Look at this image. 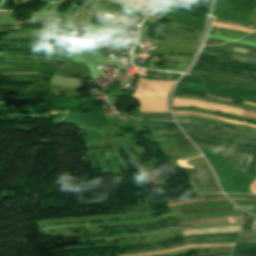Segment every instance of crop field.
Masks as SVG:
<instances>
[{
    "label": "crop field",
    "instance_id": "obj_1",
    "mask_svg": "<svg viewBox=\"0 0 256 256\" xmlns=\"http://www.w3.org/2000/svg\"><path fill=\"white\" fill-rule=\"evenodd\" d=\"M175 81L141 79L133 98L140 102L139 111L168 112L167 95Z\"/></svg>",
    "mask_w": 256,
    "mask_h": 256
},
{
    "label": "crop field",
    "instance_id": "obj_2",
    "mask_svg": "<svg viewBox=\"0 0 256 256\" xmlns=\"http://www.w3.org/2000/svg\"><path fill=\"white\" fill-rule=\"evenodd\" d=\"M173 106H195V107L206 108L208 110L232 113L240 116H242L244 112L243 109H239L231 106L214 104V103H209V102H204V101L194 100V99L175 98V97H174Z\"/></svg>",
    "mask_w": 256,
    "mask_h": 256
},
{
    "label": "crop field",
    "instance_id": "obj_3",
    "mask_svg": "<svg viewBox=\"0 0 256 256\" xmlns=\"http://www.w3.org/2000/svg\"><path fill=\"white\" fill-rule=\"evenodd\" d=\"M65 121L75 123L79 126H104L110 124L101 112L69 113Z\"/></svg>",
    "mask_w": 256,
    "mask_h": 256
},
{
    "label": "crop field",
    "instance_id": "obj_4",
    "mask_svg": "<svg viewBox=\"0 0 256 256\" xmlns=\"http://www.w3.org/2000/svg\"><path fill=\"white\" fill-rule=\"evenodd\" d=\"M189 181L199 193L218 191L216 183L210 172L189 174Z\"/></svg>",
    "mask_w": 256,
    "mask_h": 256
},
{
    "label": "crop field",
    "instance_id": "obj_5",
    "mask_svg": "<svg viewBox=\"0 0 256 256\" xmlns=\"http://www.w3.org/2000/svg\"><path fill=\"white\" fill-rule=\"evenodd\" d=\"M237 236H232V237H212V238H191V239H185L177 242H172V243H166V244H160V245H154V246H148V247H141V248H133V249H125V250H120L118 252H123V251H135V250H141V249H147V248H160V247H165L181 242H186L189 241V244H198V243H220V242H235Z\"/></svg>",
    "mask_w": 256,
    "mask_h": 256
},
{
    "label": "crop field",
    "instance_id": "obj_6",
    "mask_svg": "<svg viewBox=\"0 0 256 256\" xmlns=\"http://www.w3.org/2000/svg\"><path fill=\"white\" fill-rule=\"evenodd\" d=\"M57 77L63 78H89L86 64L69 63L65 70L58 69Z\"/></svg>",
    "mask_w": 256,
    "mask_h": 256
},
{
    "label": "crop field",
    "instance_id": "obj_7",
    "mask_svg": "<svg viewBox=\"0 0 256 256\" xmlns=\"http://www.w3.org/2000/svg\"><path fill=\"white\" fill-rule=\"evenodd\" d=\"M213 25L214 26L237 29V30L249 31V32L254 31V30H248L249 28L247 29V28H242L240 26L217 23V22H214ZM214 26H212V28H211V32H210L211 34H218V35L228 36V37H232V38H236V39H239V38L243 37L244 35L249 34V32L231 30V29L214 27Z\"/></svg>",
    "mask_w": 256,
    "mask_h": 256
},
{
    "label": "crop field",
    "instance_id": "obj_8",
    "mask_svg": "<svg viewBox=\"0 0 256 256\" xmlns=\"http://www.w3.org/2000/svg\"><path fill=\"white\" fill-rule=\"evenodd\" d=\"M159 37H200V35L174 26L163 25L155 30V38Z\"/></svg>",
    "mask_w": 256,
    "mask_h": 256
},
{
    "label": "crop field",
    "instance_id": "obj_9",
    "mask_svg": "<svg viewBox=\"0 0 256 256\" xmlns=\"http://www.w3.org/2000/svg\"><path fill=\"white\" fill-rule=\"evenodd\" d=\"M191 138H192V140H195V141H199V142H203V143H207V144H211V145H215V146H219V147H223V148L240 150V151H244V152L254 155L246 172L254 173V174L256 173V152L255 151L240 148V147L230 146V145H226V144H222V143H218V142H214V141H210V140H206V139H200V138H194V137H191Z\"/></svg>",
    "mask_w": 256,
    "mask_h": 256
},
{
    "label": "crop field",
    "instance_id": "obj_10",
    "mask_svg": "<svg viewBox=\"0 0 256 256\" xmlns=\"http://www.w3.org/2000/svg\"><path fill=\"white\" fill-rule=\"evenodd\" d=\"M203 49L204 50H212V51L222 52V53L234 55L236 57L202 50L201 53H203V54L226 56V57H230V58H233V59H236V60H240V61H244V62H248V63H255L256 64V56H254V55L234 53V52H231V51L214 49V48L205 47V46L203 47Z\"/></svg>",
    "mask_w": 256,
    "mask_h": 256
},
{
    "label": "crop field",
    "instance_id": "obj_11",
    "mask_svg": "<svg viewBox=\"0 0 256 256\" xmlns=\"http://www.w3.org/2000/svg\"><path fill=\"white\" fill-rule=\"evenodd\" d=\"M225 219H244V217H225V218H213V219H205V220L181 221V222L169 223V224H165V225H157V226L131 229V230H125V231H119V232H131V231L145 230V229L155 228V227L176 225V224H181V223H189V222L193 223V222H198V221L225 220ZM105 232H114V231H105ZM93 233H103V232H88V233H80V234H93ZM80 234H67V235H56V236H68V235H80Z\"/></svg>",
    "mask_w": 256,
    "mask_h": 256
},
{
    "label": "crop field",
    "instance_id": "obj_12",
    "mask_svg": "<svg viewBox=\"0 0 256 256\" xmlns=\"http://www.w3.org/2000/svg\"><path fill=\"white\" fill-rule=\"evenodd\" d=\"M200 57L210 58V59L225 60V61H229V62H231V63H239V64H242V65H245V66H249V67H253V68H256L255 65L244 64V63H240V62L233 61V60H229V59H225V58L212 57V56H205V55H201V54L199 55V57H198V59H197V61H200V62H207V63H216V64L229 65V66H234V67L243 68V69H246V70H248V71H255V72H256V69H250V68H246V67H243V66H239V65H235V64H230V63H226V62H222V61L208 60V59H200Z\"/></svg>",
    "mask_w": 256,
    "mask_h": 256
},
{
    "label": "crop field",
    "instance_id": "obj_13",
    "mask_svg": "<svg viewBox=\"0 0 256 256\" xmlns=\"http://www.w3.org/2000/svg\"><path fill=\"white\" fill-rule=\"evenodd\" d=\"M177 121H178V123H194V124L203 125V126L217 127V128L225 129V130H228V131H232V132H236V133L256 137L255 133L245 132V131L232 129V128H228V127H224V126H220V125H215V124H211V123L197 122V121H193V120H177Z\"/></svg>",
    "mask_w": 256,
    "mask_h": 256
},
{
    "label": "crop field",
    "instance_id": "obj_14",
    "mask_svg": "<svg viewBox=\"0 0 256 256\" xmlns=\"http://www.w3.org/2000/svg\"><path fill=\"white\" fill-rule=\"evenodd\" d=\"M159 145H192L188 139L182 138H159L151 140Z\"/></svg>",
    "mask_w": 256,
    "mask_h": 256
},
{
    "label": "crop field",
    "instance_id": "obj_15",
    "mask_svg": "<svg viewBox=\"0 0 256 256\" xmlns=\"http://www.w3.org/2000/svg\"><path fill=\"white\" fill-rule=\"evenodd\" d=\"M232 235H238V233H214V234H205V235H193V236H189V237L159 241V242H154V243H149V244H144V245L121 246V248H132V247L148 246V245H153V244H157V243L172 242V241H176V240H180V239H184V238H191V237L232 236Z\"/></svg>",
    "mask_w": 256,
    "mask_h": 256
},
{
    "label": "crop field",
    "instance_id": "obj_16",
    "mask_svg": "<svg viewBox=\"0 0 256 256\" xmlns=\"http://www.w3.org/2000/svg\"><path fill=\"white\" fill-rule=\"evenodd\" d=\"M142 127L149 126L151 131L157 129H168V128H177L174 122H151V121H140Z\"/></svg>",
    "mask_w": 256,
    "mask_h": 256
},
{
    "label": "crop field",
    "instance_id": "obj_17",
    "mask_svg": "<svg viewBox=\"0 0 256 256\" xmlns=\"http://www.w3.org/2000/svg\"><path fill=\"white\" fill-rule=\"evenodd\" d=\"M180 125H181V127H190V128H197V129H202V130H207V131L219 132V133L235 136V137L242 138V139L256 141V138H252V137H248V136H244V135H239V134H234V133H229V132L221 131V130L214 129V128L191 125V124H180Z\"/></svg>",
    "mask_w": 256,
    "mask_h": 256
},
{
    "label": "crop field",
    "instance_id": "obj_18",
    "mask_svg": "<svg viewBox=\"0 0 256 256\" xmlns=\"http://www.w3.org/2000/svg\"><path fill=\"white\" fill-rule=\"evenodd\" d=\"M237 243H256V230L242 229Z\"/></svg>",
    "mask_w": 256,
    "mask_h": 256
},
{
    "label": "crop field",
    "instance_id": "obj_19",
    "mask_svg": "<svg viewBox=\"0 0 256 256\" xmlns=\"http://www.w3.org/2000/svg\"><path fill=\"white\" fill-rule=\"evenodd\" d=\"M184 131L187 132H196V133H204V134H208V135H212V136H216V137H220V138H224V139H229V140H234V141H238V142H242V143H247V144H251V145H255V142H251V141H247V140H241V139H236L233 138L231 136H227V135H222V134H218V133H213V132H207V131H201V130H195V129H188V128H183Z\"/></svg>",
    "mask_w": 256,
    "mask_h": 256
},
{
    "label": "crop field",
    "instance_id": "obj_20",
    "mask_svg": "<svg viewBox=\"0 0 256 256\" xmlns=\"http://www.w3.org/2000/svg\"><path fill=\"white\" fill-rule=\"evenodd\" d=\"M235 243H221V244H199V245H189V246H184L180 248H175L167 251H161V252H155V253H146V254H137V255H126V256H144V255H150V254H158V253H166V252H172L188 247H209V246H234Z\"/></svg>",
    "mask_w": 256,
    "mask_h": 256
},
{
    "label": "crop field",
    "instance_id": "obj_21",
    "mask_svg": "<svg viewBox=\"0 0 256 256\" xmlns=\"http://www.w3.org/2000/svg\"><path fill=\"white\" fill-rule=\"evenodd\" d=\"M175 111H194V112H203V113H209V114H215V115H220V116H226V117H231V118H236V119H241V120H246V121H250V122H254L256 123V121L250 120V119H246V118H242V117H238V116H233V115H229V114H225V113H218V112H211L208 110H202V109H196V108H174Z\"/></svg>",
    "mask_w": 256,
    "mask_h": 256
},
{
    "label": "crop field",
    "instance_id": "obj_22",
    "mask_svg": "<svg viewBox=\"0 0 256 256\" xmlns=\"http://www.w3.org/2000/svg\"><path fill=\"white\" fill-rule=\"evenodd\" d=\"M138 119L172 120L169 113H137Z\"/></svg>",
    "mask_w": 256,
    "mask_h": 256
},
{
    "label": "crop field",
    "instance_id": "obj_23",
    "mask_svg": "<svg viewBox=\"0 0 256 256\" xmlns=\"http://www.w3.org/2000/svg\"><path fill=\"white\" fill-rule=\"evenodd\" d=\"M27 24H54V25H62V26H67V27L75 28V29H78V30H83V31H86V29H87V27L76 26V25H72V24H68V23H63V22H57V21H28L27 20Z\"/></svg>",
    "mask_w": 256,
    "mask_h": 256
},
{
    "label": "crop field",
    "instance_id": "obj_24",
    "mask_svg": "<svg viewBox=\"0 0 256 256\" xmlns=\"http://www.w3.org/2000/svg\"><path fill=\"white\" fill-rule=\"evenodd\" d=\"M187 134L191 135V136H195V137L206 138V139H210V140H214V141H218V142H222V143H226V144L240 146V147H244V148H248V149H252V150L256 151L255 146L233 143V142H229V141H225V140H221V139H217V138H213V137H208V136H204V135H200V134H196V133H187Z\"/></svg>",
    "mask_w": 256,
    "mask_h": 256
},
{
    "label": "crop field",
    "instance_id": "obj_25",
    "mask_svg": "<svg viewBox=\"0 0 256 256\" xmlns=\"http://www.w3.org/2000/svg\"><path fill=\"white\" fill-rule=\"evenodd\" d=\"M91 23L116 29L115 21L104 19V18L97 17V16H93V15L91 18Z\"/></svg>",
    "mask_w": 256,
    "mask_h": 256
},
{
    "label": "crop field",
    "instance_id": "obj_26",
    "mask_svg": "<svg viewBox=\"0 0 256 256\" xmlns=\"http://www.w3.org/2000/svg\"><path fill=\"white\" fill-rule=\"evenodd\" d=\"M192 69L211 71V72H218V73H223V74H227V75H231V76H238L240 78H246V79H250V80H255L256 81L255 78H252L250 76H244V75H240V74H236V73L225 72V71H220V70L211 69V68H203V67L193 66Z\"/></svg>",
    "mask_w": 256,
    "mask_h": 256
},
{
    "label": "crop field",
    "instance_id": "obj_27",
    "mask_svg": "<svg viewBox=\"0 0 256 256\" xmlns=\"http://www.w3.org/2000/svg\"><path fill=\"white\" fill-rule=\"evenodd\" d=\"M199 76H201L204 79L215 80V81H220V82H223V83L235 84V85H239V86H246V87L256 89V86L247 85V84H243V83H240V82H235V81H232V80H224V79H219V78H214V77H209V76H204V75H199Z\"/></svg>",
    "mask_w": 256,
    "mask_h": 256
},
{
    "label": "crop field",
    "instance_id": "obj_28",
    "mask_svg": "<svg viewBox=\"0 0 256 256\" xmlns=\"http://www.w3.org/2000/svg\"><path fill=\"white\" fill-rule=\"evenodd\" d=\"M190 72H193V73H200V74H206V75H213V76L220 77V78L233 79V80H237V81H240V82H246V83L256 84V82H254V81L243 80V79L234 78V77L225 76V75H219V74L208 73V72H202V71H194V70H191Z\"/></svg>",
    "mask_w": 256,
    "mask_h": 256
},
{
    "label": "crop field",
    "instance_id": "obj_29",
    "mask_svg": "<svg viewBox=\"0 0 256 256\" xmlns=\"http://www.w3.org/2000/svg\"><path fill=\"white\" fill-rule=\"evenodd\" d=\"M112 1L125 3V4L129 5L131 8L135 9L136 11L146 5L137 0H112Z\"/></svg>",
    "mask_w": 256,
    "mask_h": 256
},
{
    "label": "crop field",
    "instance_id": "obj_30",
    "mask_svg": "<svg viewBox=\"0 0 256 256\" xmlns=\"http://www.w3.org/2000/svg\"><path fill=\"white\" fill-rule=\"evenodd\" d=\"M217 20L220 22H226V23H231V24H235V25H242V26L256 29V24H248V23H243V22H239V21H235V20L221 19V18H217Z\"/></svg>",
    "mask_w": 256,
    "mask_h": 256
},
{
    "label": "crop field",
    "instance_id": "obj_31",
    "mask_svg": "<svg viewBox=\"0 0 256 256\" xmlns=\"http://www.w3.org/2000/svg\"><path fill=\"white\" fill-rule=\"evenodd\" d=\"M195 65H197V66H205V67H220V68H226V69H231V70H235V71H239V72H243V73L253 74V75L256 76V73L241 71V70H237V69H233V68H229V67H225V66H219V65H213V64H205V63H199V62H196Z\"/></svg>",
    "mask_w": 256,
    "mask_h": 256
},
{
    "label": "crop field",
    "instance_id": "obj_32",
    "mask_svg": "<svg viewBox=\"0 0 256 256\" xmlns=\"http://www.w3.org/2000/svg\"><path fill=\"white\" fill-rule=\"evenodd\" d=\"M244 153L243 152H238L232 159H230L229 161H227L228 163H230L232 166H234L236 168V166L239 164V162L241 161L242 157H243Z\"/></svg>",
    "mask_w": 256,
    "mask_h": 256
},
{
    "label": "crop field",
    "instance_id": "obj_33",
    "mask_svg": "<svg viewBox=\"0 0 256 256\" xmlns=\"http://www.w3.org/2000/svg\"><path fill=\"white\" fill-rule=\"evenodd\" d=\"M215 210H232V208L196 209V210L181 211L180 213L185 214V213L205 212V211H215Z\"/></svg>",
    "mask_w": 256,
    "mask_h": 256
},
{
    "label": "crop field",
    "instance_id": "obj_34",
    "mask_svg": "<svg viewBox=\"0 0 256 256\" xmlns=\"http://www.w3.org/2000/svg\"><path fill=\"white\" fill-rule=\"evenodd\" d=\"M162 223H167V222L166 221H162V222H154V223H148V224L131 225V226H125V227L110 228V229H125V228L145 227V226L162 224Z\"/></svg>",
    "mask_w": 256,
    "mask_h": 256
},
{
    "label": "crop field",
    "instance_id": "obj_35",
    "mask_svg": "<svg viewBox=\"0 0 256 256\" xmlns=\"http://www.w3.org/2000/svg\"><path fill=\"white\" fill-rule=\"evenodd\" d=\"M174 113H178V112H174ZM192 113H194V112H192ZM199 114H203V113H199ZM205 115H209V114H205ZM211 116H213V115H211ZM219 120L227 121V122H232V123H237V124H242V125H246V126H250V127L256 128V125L245 123V122H241V121H237V120H233V119L220 118Z\"/></svg>",
    "mask_w": 256,
    "mask_h": 256
},
{
    "label": "crop field",
    "instance_id": "obj_36",
    "mask_svg": "<svg viewBox=\"0 0 256 256\" xmlns=\"http://www.w3.org/2000/svg\"><path fill=\"white\" fill-rule=\"evenodd\" d=\"M238 256L256 254V248L236 250Z\"/></svg>",
    "mask_w": 256,
    "mask_h": 256
},
{
    "label": "crop field",
    "instance_id": "obj_37",
    "mask_svg": "<svg viewBox=\"0 0 256 256\" xmlns=\"http://www.w3.org/2000/svg\"><path fill=\"white\" fill-rule=\"evenodd\" d=\"M0 28H36V25H0Z\"/></svg>",
    "mask_w": 256,
    "mask_h": 256
},
{
    "label": "crop field",
    "instance_id": "obj_38",
    "mask_svg": "<svg viewBox=\"0 0 256 256\" xmlns=\"http://www.w3.org/2000/svg\"><path fill=\"white\" fill-rule=\"evenodd\" d=\"M212 97H213V98H216V99H220V100L231 101V102H238V101L244 102L243 100L232 99V98H222V97H218V96H214V95H212ZM244 104H246V105H251V106H256V104L250 103V102H246V101H245Z\"/></svg>",
    "mask_w": 256,
    "mask_h": 256
},
{
    "label": "crop field",
    "instance_id": "obj_39",
    "mask_svg": "<svg viewBox=\"0 0 256 256\" xmlns=\"http://www.w3.org/2000/svg\"><path fill=\"white\" fill-rule=\"evenodd\" d=\"M179 136H184L182 133H172V134H163V135H154L150 139L153 138H159V137H179ZM149 139V140H150Z\"/></svg>",
    "mask_w": 256,
    "mask_h": 256
},
{
    "label": "crop field",
    "instance_id": "obj_40",
    "mask_svg": "<svg viewBox=\"0 0 256 256\" xmlns=\"http://www.w3.org/2000/svg\"><path fill=\"white\" fill-rule=\"evenodd\" d=\"M175 92L192 93V94H198V95H203V96H208V97H210V95L207 94V93L196 92V91H189V90H180V89H176Z\"/></svg>",
    "mask_w": 256,
    "mask_h": 256
},
{
    "label": "crop field",
    "instance_id": "obj_41",
    "mask_svg": "<svg viewBox=\"0 0 256 256\" xmlns=\"http://www.w3.org/2000/svg\"><path fill=\"white\" fill-rule=\"evenodd\" d=\"M156 217H160V216L145 217V218H135V219H126V220L112 221V222H99V223H115V222H124V221H130V220L150 219V218H156ZM90 224H97V223H90Z\"/></svg>",
    "mask_w": 256,
    "mask_h": 256
},
{
    "label": "crop field",
    "instance_id": "obj_42",
    "mask_svg": "<svg viewBox=\"0 0 256 256\" xmlns=\"http://www.w3.org/2000/svg\"><path fill=\"white\" fill-rule=\"evenodd\" d=\"M212 47L221 48V49H228V50H233V51H237V52L240 50V49H237V48H231V47H226V46H222V45H217V46H212ZM248 53L256 55V52L249 51Z\"/></svg>",
    "mask_w": 256,
    "mask_h": 256
},
{
    "label": "crop field",
    "instance_id": "obj_43",
    "mask_svg": "<svg viewBox=\"0 0 256 256\" xmlns=\"http://www.w3.org/2000/svg\"><path fill=\"white\" fill-rule=\"evenodd\" d=\"M239 221H243V220L210 221V222H199V223H194V224L199 225V224H204V223L239 222Z\"/></svg>",
    "mask_w": 256,
    "mask_h": 256
},
{
    "label": "crop field",
    "instance_id": "obj_44",
    "mask_svg": "<svg viewBox=\"0 0 256 256\" xmlns=\"http://www.w3.org/2000/svg\"><path fill=\"white\" fill-rule=\"evenodd\" d=\"M242 40H248V41L256 42V32L242 38Z\"/></svg>",
    "mask_w": 256,
    "mask_h": 256
},
{
    "label": "crop field",
    "instance_id": "obj_45",
    "mask_svg": "<svg viewBox=\"0 0 256 256\" xmlns=\"http://www.w3.org/2000/svg\"><path fill=\"white\" fill-rule=\"evenodd\" d=\"M174 96H181V97H188V98H194V99L204 100V97H200V96H196V95H183V94H177V93H175Z\"/></svg>",
    "mask_w": 256,
    "mask_h": 256
},
{
    "label": "crop field",
    "instance_id": "obj_46",
    "mask_svg": "<svg viewBox=\"0 0 256 256\" xmlns=\"http://www.w3.org/2000/svg\"><path fill=\"white\" fill-rule=\"evenodd\" d=\"M171 132H180L179 129H175V130H163V131H154V132H151L152 135L153 134H162V133H171Z\"/></svg>",
    "mask_w": 256,
    "mask_h": 256
},
{
    "label": "crop field",
    "instance_id": "obj_47",
    "mask_svg": "<svg viewBox=\"0 0 256 256\" xmlns=\"http://www.w3.org/2000/svg\"><path fill=\"white\" fill-rule=\"evenodd\" d=\"M172 25L179 26V27L189 28V29L193 30L194 32H196V33H198V34L201 35V31H199V30H197V29H195V28H193V27H189V26H185V25H181V24H176V23H174V24H172Z\"/></svg>",
    "mask_w": 256,
    "mask_h": 256
},
{
    "label": "crop field",
    "instance_id": "obj_48",
    "mask_svg": "<svg viewBox=\"0 0 256 256\" xmlns=\"http://www.w3.org/2000/svg\"><path fill=\"white\" fill-rule=\"evenodd\" d=\"M231 200H255L256 198L229 197Z\"/></svg>",
    "mask_w": 256,
    "mask_h": 256
},
{
    "label": "crop field",
    "instance_id": "obj_49",
    "mask_svg": "<svg viewBox=\"0 0 256 256\" xmlns=\"http://www.w3.org/2000/svg\"><path fill=\"white\" fill-rule=\"evenodd\" d=\"M64 31H68V32L76 33V34H85V32H83V31H78V30H74V29H71V28H68Z\"/></svg>",
    "mask_w": 256,
    "mask_h": 256
},
{
    "label": "crop field",
    "instance_id": "obj_50",
    "mask_svg": "<svg viewBox=\"0 0 256 256\" xmlns=\"http://www.w3.org/2000/svg\"><path fill=\"white\" fill-rule=\"evenodd\" d=\"M55 34H63V35H67V36H74V37H77V35H75V34L63 32V31L55 32Z\"/></svg>",
    "mask_w": 256,
    "mask_h": 256
},
{
    "label": "crop field",
    "instance_id": "obj_51",
    "mask_svg": "<svg viewBox=\"0 0 256 256\" xmlns=\"http://www.w3.org/2000/svg\"><path fill=\"white\" fill-rule=\"evenodd\" d=\"M206 200H227L226 197H220V198H202Z\"/></svg>",
    "mask_w": 256,
    "mask_h": 256
},
{
    "label": "crop field",
    "instance_id": "obj_52",
    "mask_svg": "<svg viewBox=\"0 0 256 256\" xmlns=\"http://www.w3.org/2000/svg\"><path fill=\"white\" fill-rule=\"evenodd\" d=\"M13 12L0 11V15H9L12 16Z\"/></svg>",
    "mask_w": 256,
    "mask_h": 256
},
{
    "label": "crop field",
    "instance_id": "obj_53",
    "mask_svg": "<svg viewBox=\"0 0 256 256\" xmlns=\"http://www.w3.org/2000/svg\"><path fill=\"white\" fill-rule=\"evenodd\" d=\"M50 28H52V29H56V30H62V29H65L66 27H61V26H50Z\"/></svg>",
    "mask_w": 256,
    "mask_h": 256
},
{
    "label": "crop field",
    "instance_id": "obj_54",
    "mask_svg": "<svg viewBox=\"0 0 256 256\" xmlns=\"http://www.w3.org/2000/svg\"><path fill=\"white\" fill-rule=\"evenodd\" d=\"M168 1H170V0H160V3H159V6H158V10L160 9V7L163 5V4H165L166 2H168Z\"/></svg>",
    "mask_w": 256,
    "mask_h": 256
},
{
    "label": "crop field",
    "instance_id": "obj_55",
    "mask_svg": "<svg viewBox=\"0 0 256 256\" xmlns=\"http://www.w3.org/2000/svg\"><path fill=\"white\" fill-rule=\"evenodd\" d=\"M147 208L144 209H134V210H146ZM125 211H132V210H123V211H113V212H125Z\"/></svg>",
    "mask_w": 256,
    "mask_h": 256
},
{
    "label": "crop field",
    "instance_id": "obj_56",
    "mask_svg": "<svg viewBox=\"0 0 256 256\" xmlns=\"http://www.w3.org/2000/svg\"><path fill=\"white\" fill-rule=\"evenodd\" d=\"M140 1H143V2L151 4V5H152V2H153V0H140Z\"/></svg>",
    "mask_w": 256,
    "mask_h": 256
},
{
    "label": "crop field",
    "instance_id": "obj_57",
    "mask_svg": "<svg viewBox=\"0 0 256 256\" xmlns=\"http://www.w3.org/2000/svg\"><path fill=\"white\" fill-rule=\"evenodd\" d=\"M159 0H155L154 7L157 8Z\"/></svg>",
    "mask_w": 256,
    "mask_h": 256
},
{
    "label": "crop field",
    "instance_id": "obj_58",
    "mask_svg": "<svg viewBox=\"0 0 256 256\" xmlns=\"http://www.w3.org/2000/svg\"><path fill=\"white\" fill-rule=\"evenodd\" d=\"M178 204H180V202L170 203V204H168V205H169V206H173V205H178Z\"/></svg>",
    "mask_w": 256,
    "mask_h": 256
},
{
    "label": "crop field",
    "instance_id": "obj_59",
    "mask_svg": "<svg viewBox=\"0 0 256 256\" xmlns=\"http://www.w3.org/2000/svg\"><path fill=\"white\" fill-rule=\"evenodd\" d=\"M95 0H92L91 2H90V4L87 6V10L89 9V7L93 4V2H94Z\"/></svg>",
    "mask_w": 256,
    "mask_h": 256
},
{
    "label": "crop field",
    "instance_id": "obj_60",
    "mask_svg": "<svg viewBox=\"0 0 256 256\" xmlns=\"http://www.w3.org/2000/svg\"><path fill=\"white\" fill-rule=\"evenodd\" d=\"M184 76H187V77H196V76H193V75H184ZM196 78H199V77H196Z\"/></svg>",
    "mask_w": 256,
    "mask_h": 256
},
{
    "label": "crop field",
    "instance_id": "obj_61",
    "mask_svg": "<svg viewBox=\"0 0 256 256\" xmlns=\"http://www.w3.org/2000/svg\"><path fill=\"white\" fill-rule=\"evenodd\" d=\"M92 42H94V41H92ZM94 43H98V42H94ZM98 44H102V43H98ZM102 45H106V44H102ZM107 46V45H106Z\"/></svg>",
    "mask_w": 256,
    "mask_h": 256
},
{
    "label": "crop field",
    "instance_id": "obj_62",
    "mask_svg": "<svg viewBox=\"0 0 256 256\" xmlns=\"http://www.w3.org/2000/svg\"><path fill=\"white\" fill-rule=\"evenodd\" d=\"M251 256H256V255H251Z\"/></svg>",
    "mask_w": 256,
    "mask_h": 256
}]
</instances>
